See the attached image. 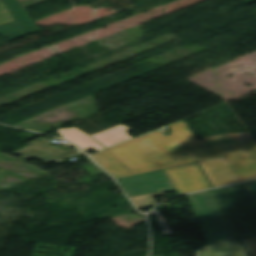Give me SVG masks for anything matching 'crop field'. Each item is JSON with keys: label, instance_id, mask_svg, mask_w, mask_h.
<instances>
[{"label": "crop field", "instance_id": "obj_12", "mask_svg": "<svg viewBox=\"0 0 256 256\" xmlns=\"http://www.w3.org/2000/svg\"><path fill=\"white\" fill-rule=\"evenodd\" d=\"M250 256H256V237L240 240Z\"/></svg>", "mask_w": 256, "mask_h": 256}, {"label": "crop field", "instance_id": "obj_6", "mask_svg": "<svg viewBox=\"0 0 256 256\" xmlns=\"http://www.w3.org/2000/svg\"><path fill=\"white\" fill-rule=\"evenodd\" d=\"M119 183L129 197L174 189L163 170L121 178Z\"/></svg>", "mask_w": 256, "mask_h": 256}, {"label": "crop field", "instance_id": "obj_7", "mask_svg": "<svg viewBox=\"0 0 256 256\" xmlns=\"http://www.w3.org/2000/svg\"><path fill=\"white\" fill-rule=\"evenodd\" d=\"M29 146L20 149L13 154L21 155L23 156L22 160H27L29 158H35L39 159L45 163H50V162H56V163H64L66 162L64 158L68 157L71 154L77 155L82 153L76 148H73L67 152L54 147L52 142L44 139V138H39L36 139L30 143H27Z\"/></svg>", "mask_w": 256, "mask_h": 256}, {"label": "crop field", "instance_id": "obj_4", "mask_svg": "<svg viewBox=\"0 0 256 256\" xmlns=\"http://www.w3.org/2000/svg\"><path fill=\"white\" fill-rule=\"evenodd\" d=\"M187 196L208 245L236 239L208 191Z\"/></svg>", "mask_w": 256, "mask_h": 256}, {"label": "crop field", "instance_id": "obj_16", "mask_svg": "<svg viewBox=\"0 0 256 256\" xmlns=\"http://www.w3.org/2000/svg\"><path fill=\"white\" fill-rule=\"evenodd\" d=\"M256 135V134H255Z\"/></svg>", "mask_w": 256, "mask_h": 256}, {"label": "crop field", "instance_id": "obj_15", "mask_svg": "<svg viewBox=\"0 0 256 256\" xmlns=\"http://www.w3.org/2000/svg\"><path fill=\"white\" fill-rule=\"evenodd\" d=\"M20 9H23L22 7H20V8H14V9H10L9 11H10V13H13V12H16V11H18V10H20Z\"/></svg>", "mask_w": 256, "mask_h": 256}, {"label": "crop field", "instance_id": "obj_8", "mask_svg": "<svg viewBox=\"0 0 256 256\" xmlns=\"http://www.w3.org/2000/svg\"><path fill=\"white\" fill-rule=\"evenodd\" d=\"M165 172L179 194L210 188L197 164L166 169Z\"/></svg>", "mask_w": 256, "mask_h": 256}, {"label": "crop field", "instance_id": "obj_10", "mask_svg": "<svg viewBox=\"0 0 256 256\" xmlns=\"http://www.w3.org/2000/svg\"><path fill=\"white\" fill-rule=\"evenodd\" d=\"M17 23H10L4 26H0V34L7 35L12 38L29 35L38 32L39 30L32 24L30 19L28 18L25 10H21L17 13L13 14ZM20 24L25 32L22 30H18L16 25Z\"/></svg>", "mask_w": 256, "mask_h": 256}, {"label": "crop field", "instance_id": "obj_2", "mask_svg": "<svg viewBox=\"0 0 256 256\" xmlns=\"http://www.w3.org/2000/svg\"><path fill=\"white\" fill-rule=\"evenodd\" d=\"M212 193L239 238L256 235V202L245 184Z\"/></svg>", "mask_w": 256, "mask_h": 256}, {"label": "crop field", "instance_id": "obj_11", "mask_svg": "<svg viewBox=\"0 0 256 256\" xmlns=\"http://www.w3.org/2000/svg\"><path fill=\"white\" fill-rule=\"evenodd\" d=\"M159 194H161V193L133 197V198H131V200L133 201V203L136 205L137 208L152 206V205H155V202H154L152 196L159 195Z\"/></svg>", "mask_w": 256, "mask_h": 256}, {"label": "crop field", "instance_id": "obj_9", "mask_svg": "<svg viewBox=\"0 0 256 256\" xmlns=\"http://www.w3.org/2000/svg\"><path fill=\"white\" fill-rule=\"evenodd\" d=\"M197 256H248L238 240L201 247Z\"/></svg>", "mask_w": 256, "mask_h": 256}, {"label": "crop field", "instance_id": "obj_3", "mask_svg": "<svg viewBox=\"0 0 256 256\" xmlns=\"http://www.w3.org/2000/svg\"><path fill=\"white\" fill-rule=\"evenodd\" d=\"M213 187L256 178V151L199 163Z\"/></svg>", "mask_w": 256, "mask_h": 256}, {"label": "crop field", "instance_id": "obj_14", "mask_svg": "<svg viewBox=\"0 0 256 256\" xmlns=\"http://www.w3.org/2000/svg\"><path fill=\"white\" fill-rule=\"evenodd\" d=\"M256 200V181L246 184Z\"/></svg>", "mask_w": 256, "mask_h": 256}, {"label": "crop field", "instance_id": "obj_13", "mask_svg": "<svg viewBox=\"0 0 256 256\" xmlns=\"http://www.w3.org/2000/svg\"><path fill=\"white\" fill-rule=\"evenodd\" d=\"M10 22H14V19L11 17L3 2L0 0V25H4Z\"/></svg>", "mask_w": 256, "mask_h": 256}, {"label": "crop field", "instance_id": "obj_5", "mask_svg": "<svg viewBox=\"0 0 256 256\" xmlns=\"http://www.w3.org/2000/svg\"><path fill=\"white\" fill-rule=\"evenodd\" d=\"M129 130L131 129L120 124L91 136L85 134L75 127L59 129L57 132L62 135L64 139L70 141L72 144L78 146L84 151L90 148H94L95 150L99 151L118 142L132 138L131 136L127 135V131Z\"/></svg>", "mask_w": 256, "mask_h": 256}, {"label": "crop field", "instance_id": "obj_1", "mask_svg": "<svg viewBox=\"0 0 256 256\" xmlns=\"http://www.w3.org/2000/svg\"><path fill=\"white\" fill-rule=\"evenodd\" d=\"M172 135L161 131L124 142L94 156L115 178L155 171L256 150L250 132L219 135L195 141L183 120L170 124Z\"/></svg>", "mask_w": 256, "mask_h": 256}]
</instances>
